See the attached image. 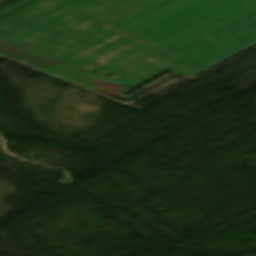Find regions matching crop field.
Masks as SVG:
<instances>
[{"mask_svg": "<svg viewBox=\"0 0 256 256\" xmlns=\"http://www.w3.org/2000/svg\"><path fill=\"white\" fill-rule=\"evenodd\" d=\"M0 40L112 83L196 76L256 45V0H44Z\"/></svg>", "mask_w": 256, "mask_h": 256, "instance_id": "obj_1", "label": "crop field"}, {"mask_svg": "<svg viewBox=\"0 0 256 256\" xmlns=\"http://www.w3.org/2000/svg\"><path fill=\"white\" fill-rule=\"evenodd\" d=\"M0 54L6 55L45 72L86 86L88 88L101 91L110 95L120 97L124 92L137 85H117L105 81H100L94 77L79 72L73 68L61 65L28 50L20 48L11 43L0 41Z\"/></svg>", "mask_w": 256, "mask_h": 256, "instance_id": "obj_2", "label": "crop field"}]
</instances>
